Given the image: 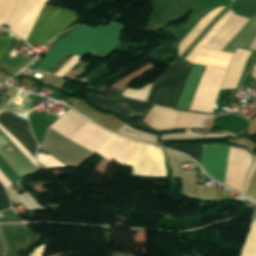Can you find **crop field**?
I'll return each mask as SVG.
<instances>
[{
	"mask_svg": "<svg viewBox=\"0 0 256 256\" xmlns=\"http://www.w3.org/2000/svg\"><path fill=\"white\" fill-rule=\"evenodd\" d=\"M68 11L64 8H59ZM45 6L28 42L45 45L51 41L62 29L68 26L78 16Z\"/></svg>",
	"mask_w": 256,
	"mask_h": 256,
	"instance_id": "obj_3",
	"label": "crop field"
},
{
	"mask_svg": "<svg viewBox=\"0 0 256 256\" xmlns=\"http://www.w3.org/2000/svg\"><path fill=\"white\" fill-rule=\"evenodd\" d=\"M0 133L9 143L0 147V156L8 165L23 179L36 172V167L31 161L15 146V144L0 130Z\"/></svg>",
	"mask_w": 256,
	"mask_h": 256,
	"instance_id": "obj_7",
	"label": "crop field"
},
{
	"mask_svg": "<svg viewBox=\"0 0 256 256\" xmlns=\"http://www.w3.org/2000/svg\"><path fill=\"white\" fill-rule=\"evenodd\" d=\"M0 227H20V228H28L26 226H21V225H0Z\"/></svg>",
	"mask_w": 256,
	"mask_h": 256,
	"instance_id": "obj_14",
	"label": "crop field"
},
{
	"mask_svg": "<svg viewBox=\"0 0 256 256\" xmlns=\"http://www.w3.org/2000/svg\"><path fill=\"white\" fill-rule=\"evenodd\" d=\"M229 145H204L201 166L214 179L224 184Z\"/></svg>",
	"mask_w": 256,
	"mask_h": 256,
	"instance_id": "obj_5",
	"label": "crop field"
},
{
	"mask_svg": "<svg viewBox=\"0 0 256 256\" xmlns=\"http://www.w3.org/2000/svg\"><path fill=\"white\" fill-rule=\"evenodd\" d=\"M11 40H12V37L10 36H7L5 38L0 37V59L6 52Z\"/></svg>",
	"mask_w": 256,
	"mask_h": 256,
	"instance_id": "obj_13",
	"label": "crop field"
},
{
	"mask_svg": "<svg viewBox=\"0 0 256 256\" xmlns=\"http://www.w3.org/2000/svg\"><path fill=\"white\" fill-rule=\"evenodd\" d=\"M95 91L103 98L112 99L120 91V89H117L113 86H103Z\"/></svg>",
	"mask_w": 256,
	"mask_h": 256,
	"instance_id": "obj_11",
	"label": "crop field"
},
{
	"mask_svg": "<svg viewBox=\"0 0 256 256\" xmlns=\"http://www.w3.org/2000/svg\"><path fill=\"white\" fill-rule=\"evenodd\" d=\"M87 96L91 99L93 103H95L97 106L113 110L121 113L122 115L130 118L135 115H139L140 119L143 120V118L146 116V114L151 110L153 105L134 101L131 99L127 100H103L99 98L97 95L93 93H88Z\"/></svg>",
	"mask_w": 256,
	"mask_h": 256,
	"instance_id": "obj_6",
	"label": "crop field"
},
{
	"mask_svg": "<svg viewBox=\"0 0 256 256\" xmlns=\"http://www.w3.org/2000/svg\"><path fill=\"white\" fill-rule=\"evenodd\" d=\"M0 124L9 130L34 157L37 145L26 121L2 111L0 113Z\"/></svg>",
	"mask_w": 256,
	"mask_h": 256,
	"instance_id": "obj_8",
	"label": "crop field"
},
{
	"mask_svg": "<svg viewBox=\"0 0 256 256\" xmlns=\"http://www.w3.org/2000/svg\"><path fill=\"white\" fill-rule=\"evenodd\" d=\"M126 164L134 166L133 175L144 177H164L165 166L162 149L137 143Z\"/></svg>",
	"mask_w": 256,
	"mask_h": 256,
	"instance_id": "obj_4",
	"label": "crop field"
},
{
	"mask_svg": "<svg viewBox=\"0 0 256 256\" xmlns=\"http://www.w3.org/2000/svg\"><path fill=\"white\" fill-rule=\"evenodd\" d=\"M168 147H172V148H176V149L182 150V151L188 153L189 155H191L192 157L196 158L198 160V162H199L201 145H170Z\"/></svg>",
	"mask_w": 256,
	"mask_h": 256,
	"instance_id": "obj_10",
	"label": "crop field"
},
{
	"mask_svg": "<svg viewBox=\"0 0 256 256\" xmlns=\"http://www.w3.org/2000/svg\"><path fill=\"white\" fill-rule=\"evenodd\" d=\"M6 189L2 183L0 182V191ZM11 208L9 197L6 193V191L0 192V211Z\"/></svg>",
	"mask_w": 256,
	"mask_h": 256,
	"instance_id": "obj_12",
	"label": "crop field"
},
{
	"mask_svg": "<svg viewBox=\"0 0 256 256\" xmlns=\"http://www.w3.org/2000/svg\"><path fill=\"white\" fill-rule=\"evenodd\" d=\"M108 27L119 30V34L126 25L116 21ZM105 27L90 28L82 26L56 46L52 47L35 70L48 72L64 54L75 53L83 56L90 52L94 55H108L116 46L118 31ZM114 51V50H113ZM106 57V56H98Z\"/></svg>",
	"mask_w": 256,
	"mask_h": 256,
	"instance_id": "obj_1",
	"label": "crop field"
},
{
	"mask_svg": "<svg viewBox=\"0 0 256 256\" xmlns=\"http://www.w3.org/2000/svg\"><path fill=\"white\" fill-rule=\"evenodd\" d=\"M241 256H256V220H253L250 234Z\"/></svg>",
	"mask_w": 256,
	"mask_h": 256,
	"instance_id": "obj_9",
	"label": "crop field"
},
{
	"mask_svg": "<svg viewBox=\"0 0 256 256\" xmlns=\"http://www.w3.org/2000/svg\"><path fill=\"white\" fill-rule=\"evenodd\" d=\"M174 64L163 75H161L154 83H152L145 101L151 102L156 105L159 104L162 94L164 92V89L166 87V84L168 82V79L170 77V74L172 72V69L174 67ZM183 66H184V63L181 62L180 60H177L159 105L167 107ZM191 68H192L191 65L185 64L168 107H171V108L176 107ZM203 69L204 68L202 67L193 66L176 109H184V110L188 109L189 102L195 91V88L197 86V83L199 81V78L202 74Z\"/></svg>",
	"mask_w": 256,
	"mask_h": 256,
	"instance_id": "obj_2",
	"label": "crop field"
}]
</instances>
